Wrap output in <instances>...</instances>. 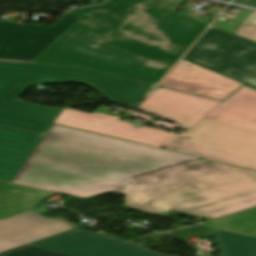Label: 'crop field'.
Listing matches in <instances>:
<instances>
[{
	"mask_svg": "<svg viewBox=\"0 0 256 256\" xmlns=\"http://www.w3.org/2000/svg\"><path fill=\"white\" fill-rule=\"evenodd\" d=\"M85 198L125 194L124 206L216 218L256 206V172L54 125L12 181Z\"/></svg>",
	"mask_w": 256,
	"mask_h": 256,
	"instance_id": "8a807250",
	"label": "crop field"
},
{
	"mask_svg": "<svg viewBox=\"0 0 256 256\" xmlns=\"http://www.w3.org/2000/svg\"><path fill=\"white\" fill-rule=\"evenodd\" d=\"M110 0L82 17L32 63L81 66L156 84L207 25L144 2Z\"/></svg>",
	"mask_w": 256,
	"mask_h": 256,
	"instance_id": "ac0d7876",
	"label": "crop field"
},
{
	"mask_svg": "<svg viewBox=\"0 0 256 256\" xmlns=\"http://www.w3.org/2000/svg\"><path fill=\"white\" fill-rule=\"evenodd\" d=\"M138 109L190 128L166 148L256 170V90L243 86L219 102L161 88Z\"/></svg>",
	"mask_w": 256,
	"mask_h": 256,
	"instance_id": "34b2d1b8",
	"label": "crop field"
},
{
	"mask_svg": "<svg viewBox=\"0 0 256 256\" xmlns=\"http://www.w3.org/2000/svg\"><path fill=\"white\" fill-rule=\"evenodd\" d=\"M77 81L109 100L136 107L152 85L82 68L0 62V125L45 134L62 109L16 100L32 84Z\"/></svg>",
	"mask_w": 256,
	"mask_h": 256,
	"instance_id": "412701ff",
	"label": "crop field"
},
{
	"mask_svg": "<svg viewBox=\"0 0 256 256\" xmlns=\"http://www.w3.org/2000/svg\"><path fill=\"white\" fill-rule=\"evenodd\" d=\"M222 256H256V239L218 231ZM0 256H165L145 251L111 235H100L78 228L57 234Z\"/></svg>",
	"mask_w": 256,
	"mask_h": 256,
	"instance_id": "f4fd0767",
	"label": "crop field"
},
{
	"mask_svg": "<svg viewBox=\"0 0 256 256\" xmlns=\"http://www.w3.org/2000/svg\"><path fill=\"white\" fill-rule=\"evenodd\" d=\"M256 89V43L211 27L183 57Z\"/></svg>",
	"mask_w": 256,
	"mask_h": 256,
	"instance_id": "dd49c442",
	"label": "crop field"
},
{
	"mask_svg": "<svg viewBox=\"0 0 256 256\" xmlns=\"http://www.w3.org/2000/svg\"><path fill=\"white\" fill-rule=\"evenodd\" d=\"M78 19L67 13L52 27L0 22V61L30 63Z\"/></svg>",
	"mask_w": 256,
	"mask_h": 256,
	"instance_id": "e52e79f7",
	"label": "crop field"
},
{
	"mask_svg": "<svg viewBox=\"0 0 256 256\" xmlns=\"http://www.w3.org/2000/svg\"><path fill=\"white\" fill-rule=\"evenodd\" d=\"M117 117L65 109L53 123L162 147L177 135L117 120Z\"/></svg>",
	"mask_w": 256,
	"mask_h": 256,
	"instance_id": "d8731c3e",
	"label": "crop field"
},
{
	"mask_svg": "<svg viewBox=\"0 0 256 256\" xmlns=\"http://www.w3.org/2000/svg\"><path fill=\"white\" fill-rule=\"evenodd\" d=\"M60 218H47L30 210L0 221V252L74 229Z\"/></svg>",
	"mask_w": 256,
	"mask_h": 256,
	"instance_id": "5a996713",
	"label": "crop field"
},
{
	"mask_svg": "<svg viewBox=\"0 0 256 256\" xmlns=\"http://www.w3.org/2000/svg\"><path fill=\"white\" fill-rule=\"evenodd\" d=\"M160 86L223 101L242 84L181 60Z\"/></svg>",
	"mask_w": 256,
	"mask_h": 256,
	"instance_id": "3316defc",
	"label": "crop field"
},
{
	"mask_svg": "<svg viewBox=\"0 0 256 256\" xmlns=\"http://www.w3.org/2000/svg\"><path fill=\"white\" fill-rule=\"evenodd\" d=\"M42 135L0 126V180L9 182Z\"/></svg>",
	"mask_w": 256,
	"mask_h": 256,
	"instance_id": "28ad6ade",
	"label": "crop field"
},
{
	"mask_svg": "<svg viewBox=\"0 0 256 256\" xmlns=\"http://www.w3.org/2000/svg\"><path fill=\"white\" fill-rule=\"evenodd\" d=\"M53 194L9 184L3 191H0V220L30 210Z\"/></svg>",
	"mask_w": 256,
	"mask_h": 256,
	"instance_id": "d1516ede",
	"label": "crop field"
},
{
	"mask_svg": "<svg viewBox=\"0 0 256 256\" xmlns=\"http://www.w3.org/2000/svg\"><path fill=\"white\" fill-rule=\"evenodd\" d=\"M200 226L256 238V208Z\"/></svg>",
	"mask_w": 256,
	"mask_h": 256,
	"instance_id": "22f410ed",
	"label": "crop field"
},
{
	"mask_svg": "<svg viewBox=\"0 0 256 256\" xmlns=\"http://www.w3.org/2000/svg\"><path fill=\"white\" fill-rule=\"evenodd\" d=\"M235 34L252 39L256 41V10L244 21V23L237 29Z\"/></svg>",
	"mask_w": 256,
	"mask_h": 256,
	"instance_id": "cbeb9de0",
	"label": "crop field"
},
{
	"mask_svg": "<svg viewBox=\"0 0 256 256\" xmlns=\"http://www.w3.org/2000/svg\"><path fill=\"white\" fill-rule=\"evenodd\" d=\"M6 185H7L6 183L0 182V189H2L3 187H5Z\"/></svg>",
	"mask_w": 256,
	"mask_h": 256,
	"instance_id": "5142ce71",
	"label": "crop field"
},
{
	"mask_svg": "<svg viewBox=\"0 0 256 256\" xmlns=\"http://www.w3.org/2000/svg\"><path fill=\"white\" fill-rule=\"evenodd\" d=\"M245 1H248V0H245Z\"/></svg>",
	"mask_w": 256,
	"mask_h": 256,
	"instance_id": "d9b57169",
	"label": "crop field"
}]
</instances>
